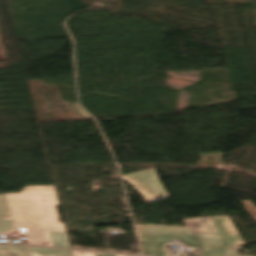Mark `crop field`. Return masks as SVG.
Returning <instances> with one entry per match:
<instances>
[{"label":"crop field","mask_w":256,"mask_h":256,"mask_svg":"<svg viewBox=\"0 0 256 256\" xmlns=\"http://www.w3.org/2000/svg\"><path fill=\"white\" fill-rule=\"evenodd\" d=\"M13 226L31 237L28 245L51 247L47 231L65 232L54 207L58 205L54 186L25 187L19 194H6Z\"/></svg>","instance_id":"crop-field-1"},{"label":"crop field","mask_w":256,"mask_h":256,"mask_svg":"<svg viewBox=\"0 0 256 256\" xmlns=\"http://www.w3.org/2000/svg\"><path fill=\"white\" fill-rule=\"evenodd\" d=\"M31 256H72L71 251L57 249L29 248Z\"/></svg>","instance_id":"crop-field-2"},{"label":"crop field","mask_w":256,"mask_h":256,"mask_svg":"<svg viewBox=\"0 0 256 256\" xmlns=\"http://www.w3.org/2000/svg\"><path fill=\"white\" fill-rule=\"evenodd\" d=\"M10 215L6 195H0V219H6Z\"/></svg>","instance_id":"crop-field-3"},{"label":"crop field","mask_w":256,"mask_h":256,"mask_svg":"<svg viewBox=\"0 0 256 256\" xmlns=\"http://www.w3.org/2000/svg\"><path fill=\"white\" fill-rule=\"evenodd\" d=\"M16 231L12 227V220H0V232Z\"/></svg>","instance_id":"crop-field-4"},{"label":"crop field","mask_w":256,"mask_h":256,"mask_svg":"<svg viewBox=\"0 0 256 256\" xmlns=\"http://www.w3.org/2000/svg\"><path fill=\"white\" fill-rule=\"evenodd\" d=\"M52 247H62L57 232L48 231Z\"/></svg>","instance_id":"crop-field-5"},{"label":"crop field","mask_w":256,"mask_h":256,"mask_svg":"<svg viewBox=\"0 0 256 256\" xmlns=\"http://www.w3.org/2000/svg\"><path fill=\"white\" fill-rule=\"evenodd\" d=\"M63 248H70L66 233L58 232Z\"/></svg>","instance_id":"crop-field-6"},{"label":"crop field","mask_w":256,"mask_h":256,"mask_svg":"<svg viewBox=\"0 0 256 256\" xmlns=\"http://www.w3.org/2000/svg\"><path fill=\"white\" fill-rule=\"evenodd\" d=\"M142 227H150V226H142Z\"/></svg>","instance_id":"crop-field-7"}]
</instances>
